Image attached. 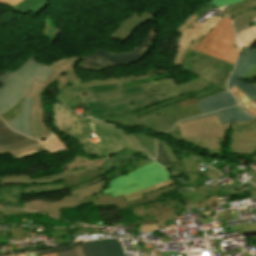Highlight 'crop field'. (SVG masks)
Here are the masks:
<instances>
[{
	"mask_svg": "<svg viewBox=\"0 0 256 256\" xmlns=\"http://www.w3.org/2000/svg\"><path fill=\"white\" fill-rule=\"evenodd\" d=\"M136 74L79 83L89 114L108 118L156 104L170 98L206 87L209 83L198 77L178 84L172 76L123 88L121 83L149 78Z\"/></svg>",
	"mask_w": 256,
	"mask_h": 256,
	"instance_id": "8a807250",
	"label": "crop field"
},
{
	"mask_svg": "<svg viewBox=\"0 0 256 256\" xmlns=\"http://www.w3.org/2000/svg\"><path fill=\"white\" fill-rule=\"evenodd\" d=\"M127 154V152H124L110 158H100L102 159L99 163L101 166L95 164L99 159L91 161L85 157H75L71 164L62 167L64 173L38 177L34 179H31L30 175L0 177V184L42 183L52 182L62 178V181L64 182L62 184L45 186L34 185L27 189L21 187L22 192L46 193L64 189L66 187H68V190H72L102 180L99 175L114 168L117 163L121 161Z\"/></svg>",
	"mask_w": 256,
	"mask_h": 256,
	"instance_id": "ac0d7876",
	"label": "crop field"
},
{
	"mask_svg": "<svg viewBox=\"0 0 256 256\" xmlns=\"http://www.w3.org/2000/svg\"><path fill=\"white\" fill-rule=\"evenodd\" d=\"M176 190L175 186L166 187L163 189H160L157 192H153L151 194L144 195L145 199L137 202H133L128 204L122 196L112 199L110 194L101 196V194L92 196L89 198L81 199V205L86 203L93 202L94 205H103V204H116L118 210H126L128 207L126 205H132L136 203L146 202V201H153L158 198V196L162 193H168L171 191ZM134 217L141 218V217H149L152 216L155 223L158 227H161L160 225H167L165 220H174L176 217V214L174 213L167 197L161 201L140 205V206H134L130 208Z\"/></svg>",
	"mask_w": 256,
	"mask_h": 256,
	"instance_id": "34b2d1b8",
	"label": "crop field"
},
{
	"mask_svg": "<svg viewBox=\"0 0 256 256\" xmlns=\"http://www.w3.org/2000/svg\"><path fill=\"white\" fill-rule=\"evenodd\" d=\"M35 58L30 57L0 88V114L13 107L21 95H28L33 80L42 83L52 73Z\"/></svg>",
	"mask_w": 256,
	"mask_h": 256,
	"instance_id": "412701ff",
	"label": "crop field"
},
{
	"mask_svg": "<svg viewBox=\"0 0 256 256\" xmlns=\"http://www.w3.org/2000/svg\"><path fill=\"white\" fill-rule=\"evenodd\" d=\"M170 179L166 171L156 162H151L135 171L108 181L103 194L110 193L112 198L137 191L139 189Z\"/></svg>",
	"mask_w": 256,
	"mask_h": 256,
	"instance_id": "f4fd0767",
	"label": "crop field"
},
{
	"mask_svg": "<svg viewBox=\"0 0 256 256\" xmlns=\"http://www.w3.org/2000/svg\"><path fill=\"white\" fill-rule=\"evenodd\" d=\"M204 47H207L206 49ZM194 51L234 64L238 51L234 43L231 18L221 20L194 48Z\"/></svg>",
	"mask_w": 256,
	"mask_h": 256,
	"instance_id": "dd49c442",
	"label": "crop field"
},
{
	"mask_svg": "<svg viewBox=\"0 0 256 256\" xmlns=\"http://www.w3.org/2000/svg\"><path fill=\"white\" fill-rule=\"evenodd\" d=\"M224 16L216 17L197 24L199 17L191 15L175 32L180 33L177 54L173 65L180 66L186 49L193 50L194 46L221 20Z\"/></svg>",
	"mask_w": 256,
	"mask_h": 256,
	"instance_id": "e52e79f7",
	"label": "crop field"
},
{
	"mask_svg": "<svg viewBox=\"0 0 256 256\" xmlns=\"http://www.w3.org/2000/svg\"><path fill=\"white\" fill-rule=\"evenodd\" d=\"M90 121L103 145L107 156L123 150L143 153L148 156L147 152L143 150L139 145H137L135 141L127 134L122 133L121 131L115 129L112 126L94 121L92 119H90Z\"/></svg>",
	"mask_w": 256,
	"mask_h": 256,
	"instance_id": "d8731c3e",
	"label": "crop field"
},
{
	"mask_svg": "<svg viewBox=\"0 0 256 256\" xmlns=\"http://www.w3.org/2000/svg\"><path fill=\"white\" fill-rule=\"evenodd\" d=\"M154 35L155 29L153 27L143 43L135 50L117 54L97 50L88 56L79 66L92 69H106L108 65L127 64L137 61L139 60L137 56L149 44Z\"/></svg>",
	"mask_w": 256,
	"mask_h": 256,
	"instance_id": "5a996713",
	"label": "crop field"
},
{
	"mask_svg": "<svg viewBox=\"0 0 256 256\" xmlns=\"http://www.w3.org/2000/svg\"><path fill=\"white\" fill-rule=\"evenodd\" d=\"M246 123L221 124L218 118L216 117V115H214V116H210L202 119L186 121L176 125H178L179 127L182 138H191V137H225L226 131L229 129L231 124H246Z\"/></svg>",
	"mask_w": 256,
	"mask_h": 256,
	"instance_id": "3316defc",
	"label": "crop field"
},
{
	"mask_svg": "<svg viewBox=\"0 0 256 256\" xmlns=\"http://www.w3.org/2000/svg\"><path fill=\"white\" fill-rule=\"evenodd\" d=\"M200 114L201 112L194 104L181 109H176L160 115L149 117L141 120V123L144 127L153 132H162L172 129L173 125L179 120Z\"/></svg>",
	"mask_w": 256,
	"mask_h": 256,
	"instance_id": "28ad6ade",
	"label": "crop field"
},
{
	"mask_svg": "<svg viewBox=\"0 0 256 256\" xmlns=\"http://www.w3.org/2000/svg\"><path fill=\"white\" fill-rule=\"evenodd\" d=\"M256 62V49H251L243 47L242 55L239 57L235 64V70L228 80V88L235 85L239 90H241L249 99H256V88L252 85L239 81V79L244 76L247 71Z\"/></svg>",
	"mask_w": 256,
	"mask_h": 256,
	"instance_id": "d1516ede",
	"label": "crop field"
},
{
	"mask_svg": "<svg viewBox=\"0 0 256 256\" xmlns=\"http://www.w3.org/2000/svg\"><path fill=\"white\" fill-rule=\"evenodd\" d=\"M55 79L56 76L51 74L42 84L33 82V85L30 89L29 96L35 97L31 114V130L35 139H43L50 135V132L45 127L43 122L41 92L44 88L54 82Z\"/></svg>",
	"mask_w": 256,
	"mask_h": 256,
	"instance_id": "22f410ed",
	"label": "crop field"
},
{
	"mask_svg": "<svg viewBox=\"0 0 256 256\" xmlns=\"http://www.w3.org/2000/svg\"><path fill=\"white\" fill-rule=\"evenodd\" d=\"M53 114L59 131L66 133L74 140L84 138L79 117L74 115L72 111L57 103L54 105Z\"/></svg>",
	"mask_w": 256,
	"mask_h": 256,
	"instance_id": "cbeb9de0",
	"label": "crop field"
},
{
	"mask_svg": "<svg viewBox=\"0 0 256 256\" xmlns=\"http://www.w3.org/2000/svg\"><path fill=\"white\" fill-rule=\"evenodd\" d=\"M39 144L22 134L13 132L0 119V155Z\"/></svg>",
	"mask_w": 256,
	"mask_h": 256,
	"instance_id": "5142ce71",
	"label": "crop field"
},
{
	"mask_svg": "<svg viewBox=\"0 0 256 256\" xmlns=\"http://www.w3.org/2000/svg\"><path fill=\"white\" fill-rule=\"evenodd\" d=\"M80 58L85 59L86 57L81 56V57H70V58H66V59H60V60L56 61L55 63L49 65L53 74H55L58 77V79H57L58 92L70 83L81 82V80L75 74V71L73 68L75 62H77Z\"/></svg>",
	"mask_w": 256,
	"mask_h": 256,
	"instance_id": "d9b57169",
	"label": "crop field"
},
{
	"mask_svg": "<svg viewBox=\"0 0 256 256\" xmlns=\"http://www.w3.org/2000/svg\"><path fill=\"white\" fill-rule=\"evenodd\" d=\"M222 90H224V89L210 84L208 87H206L204 89H201L199 91H194V92H191L189 94H186V95H183V96H180V97H176V98L170 99V100L165 101V102L158 103L156 105H153V106H150L148 108L142 109V110L138 111L137 113H138V115H142V114L151 112V111H153L157 108L172 104L174 102H176L177 105L179 106V108H181V107L186 106V105L197 103L196 100L199 99V98H202V97H205V96H208V95H211V94H215V93H217L219 91H222Z\"/></svg>",
	"mask_w": 256,
	"mask_h": 256,
	"instance_id": "733c2abd",
	"label": "crop field"
},
{
	"mask_svg": "<svg viewBox=\"0 0 256 256\" xmlns=\"http://www.w3.org/2000/svg\"><path fill=\"white\" fill-rule=\"evenodd\" d=\"M198 102L197 106L202 114L238 104L234 97L226 90L215 95L202 98L198 100Z\"/></svg>",
	"mask_w": 256,
	"mask_h": 256,
	"instance_id": "4a817a6b",
	"label": "crop field"
},
{
	"mask_svg": "<svg viewBox=\"0 0 256 256\" xmlns=\"http://www.w3.org/2000/svg\"><path fill=\"white\" fill-rule=\"evenodd\" d=\"M82 245L86 256H125L121 243L116 240Z\"/></svg>",
	"mask_w": 256,
	"mask_h": 256,
	"instance_id": "bc2a9ffb",
	"label": "crop field"
},
{
	"mask_svg": "<svg viewBox=\"0 0 256 256\" xmlns=\"http://www.w3.org/2000/svg\"><path fill=\"white\" fill-rule=\"evenodd\" d=\"M33 100L34 98L25 97L21 105L19 117L7 122V125L13 130L28 135L30 137H32L30 131V113L32 110Z\"/></svg>",
	"mask_w": 256,
	"mask_h": 256,
	"instance_id": "214f88e0",
	"label": "crop field"
},
{
	"mask_svg": "<svg viewBox=\"0 0 256 256\" xmlns=\"http://www.w3.org/2000/svg\"><path fill=\"white\" fill-rule=\"evenodd\" d=\"M176 108H178V106L175 103L173 105H169V106L160 108L154 112H151V113L139 116V117L137 116L136 113H131V114H127V115H123V116H119V117L108 118L105 120H103L102 118H98V117H94V116H90V115L89 116L93 117L95 119L101 120L103 122H106V121L117 122L125 127H138V126H141L139 120L147 118V117L155 115V114H160V113L168 111V110L176 109Z\"/></svg>",
	"mask_w": 256,
	"mask_h": 256,
	"instance_id": "92a150f3",
	"label": "crop field"
},
{
	"mask_svg": "<svg viewBox=\"0 0 256 256\" xmlns=\"http://www.w3.org/2000/svg\"><path fill=\"white\" fill-rule=\"evenodd\" d=\"M151 18L152 15L147 12H143L141 15L133 14L110 38L126 41L136 27L146 23Z\"/></svg>",
	"mask_w": 256,
	"mask_h": 256,
	"instance_id": "dafd665d",
	"label": "crop field"
},
{
	"mask_svg": "<svg viewBox=\"0 0 256 256\" xmlns=\"http://www.w3.org/2000/svg\"><path fill=\"white\" fill-rule=\"evenodd\" d=\"M80 121H81L85 139L76 140V141H78L81 148L84 150L86 154L91 156H96V157L106 156L102 148L100 147L99 143L98 142L94 143L93 141H91V139H89V136H91L89 131H93V130L90 126L88 118L80 117Z\"/></svg>",
	"mask_w": 256,
	"mask_h": 256,
	"instance_id": "00972430",
	"label": "crop field"
},
{
	"mask_svg": "<svg viewBox=\"0 0 256 256\" xmlns=\"http://www.w3.org/2000/svg\"><path fill=\"white\" fill-rule=\"evenodd\" d=\"M214 114L217 115V117L219 118L221 123L245 122V121L254 119V118L250 117L249 115H247L246 113H244L243 110L240 108V106L227 108V109H224L221 111L198 116V117L191 118V119L202 118V117H206V116H210V115H214ZM191 119H187V120H191ZM183 121H186V120H183Z\"/></svg>",
	"mask_w": 256,
	"mask_h": 256,
	"instance_id": "a9b5d70f",
	"label": "crop field"
},
{
	"mask_svg": "<svg viewBox=\"0 0 256 256\" xmlns=\"http://www.w3.org/2000/svg\"><path fill=\"white\" fill-rule=\"evenodd\" d=\"M219 60L208 55L200 53L190 71L196 73L197 76L207 80L213 69L218 65Z\"/></svg>",
	"mask_w": 256,
	"mask_h": 256,
	"instance_id": "4177f3b9",
	"label": "crop field"
},
{
	"mask_svg": "<svg viewBox=\"0 0 256 256\" xmlns=\"http://www.w3.org/2000/svg\"><path fill=\"white\" fill-rule=\"evenodd\" d=\"M5 199L7 204L16 208H23L20 184L0 185V200Z\"/></svg>",
	"mask_w": 256,
	"mask_h": 256,
	"instance_id": "730fd06b",
	"label": "crop field"
},
{
	"mask_svg": "<svg viewBox=\"0 0 256 256\" xmlns=\"http://www.w3.org/2000/svg\"><path fill=\"white\" fill-rule=\"evenodd\" d=\"M56 101H62L70 109L73 106L77 108L83 103L77 84H70L60 91L56 96Z\"/></svg>",
	"mask_w": 256,
	"mask_h": 256,
	"instance_id": "eef30255",
	"label": "crop field"
},
{
	"mask_svg": "<svg viewBox=\"0 0 256 256\" xmlns=\"http://www.w3.org/2000/svg\"><path fill=\"white\" fill-rule=\"evenodd\" d=\"M79 202L78 196L73 195L65 196L60 201L49 202L48 214L60 219V209L78 207L80 206Z\"/></svg>",
	"mask_w": 256,
	"mask_h": 256,
	"instance_id": "ae1a2a85",
	"label": "crop field"
},
{
	"mask_svg": "<svg viewBox=\"0 0 256 256\" xmlns=\"http://www.w3.org/2000/svg\"><path fill=\"white\" fill-rule=\"evenodd\" d=\"M39 256H85L82 245L37 251Z\"/></svg>",
	"mask_w": 256,
	"mask_h": 256,
	"instance_id": "d3111659",
	"label": "crop field"
},
{
	"mask_svg": "<svg viewBox=\"0 0 256 256\" xmlns=\"http://www.w3.org/2000/svg\"><path fill=\"white\" fill-rule=\"evenodd\" d=\"M174 139L178 141H183L187 144L205 147V149L213 151L215 153L220 152L219 145L224 140V138H192V139L174 138Z\"/></svg>",
	"mask_w": 256,
	"mask_h": 256,
	"instance_id": "750c4746",
	"label": "crop field"
},
{
	"mask_svg": "<svg viewBox=\"0 0 256 256\" xmlns=\"http://www.w3.org/2000/svg\"><path fill=\"white\" fill-rule=\"evenodd\" d=\"M232 69V65L220 61L219 65L216 66L208 80L222 87L228 76L231 74Z\"/></svg>",
	"mask_w": 256,
	"mask_h": 256,
	"instance_id": "bd1437ed",
	"label": "crop field"
},
{
	"mask_svg": "<svg viewBox=\"0 0 256 256\" xmlns=\"http://www.w3.org/2000/svg\"><path fill=\"white\" fill-rule=\"evenodd\" d=\"M256 41V27L253 23L236 36V44L241 54L242 46L250 47Z\"/></svg>",
	"mask_w": 256,
	"mask_h": 256,
	"instance_id": "1d83c4d3",
	"label": "crop field"
},
{
	"mask_svg": "<svg viewBox=\"0 0 256 256\" xmlns=\"http://www.w3.org/2000/svg\"><path fill=\"white\" fill-rule=\"evenodd\" d=\"M40 142L44 146L45 150L48 151L49 155L59 151H70L65 142L54 133H52V136L48 139Z\"/></svg>",
	"mask_w": 256,
	"mask_h": 256,
	"instance_id": "120bbe31",
	"label": "crop field"
},
{
	"mask_svg": "<svg viewBox=\"0 0 256 256\" xmlns=\"http://www.w3.org/2000/svg\"><path fill=\"white\" fill-rule=\"evenodd\" d=\"M77 233H78L77 235L85 234V233H88V235H91V234L101 233V231H100V228H92V229H80V230H77ZM51 236L55 245L72 242V239L76 238L75 235H71L72 238H67V234H65V232L51 233Z\"/></svg>",
	"mask_w": 256,
	"mask_h": 256,
	"instance_id": "d32e631a",
	"label": "crop field"
},
{
	"mask_svg": "<svg viewBox=\"0 0 256 256\" xmlns=\"http://www.w3.org/2000/svg\"><path fill=\"white\" fill-rule=\"evenodd\" d=\"M104 184H105V182H104V180H102V181L93 183L91 185L72 190L69 193L73 194V195H79L80 199L89 197V196H92L95 194H99V191L104 186Z\"/></svg>",
	"mask_w": 256,
	"mask_h": 256,
	"instance_id": "5866460e",
	"label": "crop field"
},
{
	"mask_svg": "<svg viewBox=\"0 0 256 256\" xmlns=\"http://www.w3.org/2000/svg\"><path fill=\"white\" fill-rule=\"evenodd\" d=\"M169 185H172L169 180L164 181V182H162L158 185H154V186L142 189L140 191H137V192H134V193H131V194L123 195V197L125 198V200L128 203L133 202V201H137V200H140V199L144 198L143 194L150 193V192H153V191H157L160 188H163V187H166V186H169Z\"/></svg>",
	"mask_w": 256,
	"mask_h": 256,
	"instance_id": "028f5c9d",
	"label": "crop field"
},
{
	"mask_svg": "<svg viewBox=\"0 0 256 256\" xmlns=\"http://www.w3.org/2000/svg\"><path fill=\"white\" fill-rule=\"evenodd\" d=\"M256 7V0H243L241 2H238L232 7L225 9V15H230L234 18V16L238 13L245 12L247 10H250L252 8Z\"/></svg>",
	"mask_w": 256,
	"mask_h": 256,
	"instance_id": "e1f06a70",
	"label": "crop field"
},
{
	"mask_svg": "<svg viewBox=\"0 0 256 256\" xmlns=\"http://www.w3.org/2000/svg\"><path fill=\"white\" fill-rule=\"evenodd\" d=\"M130 135L133 136L138 143L149 152L153 159L155 158V142L153 138L149 137V135L145 133H134Z\"/></svg>",
	"mask_w": 256,
	"mask_h": 256,
	"instance_id": "0bd39190",
	"label": "crop field"
},
{
	"mask_svg": "<svg viewBox=\"0 0 256 256\" xmlns=\"http://www.w3.org/2000/svg\"><path fill=\"white\" fill-rule=\"evenodd\" d=\"M232 92L239 102L241 103L242 107L250 113L252 116L256 117V103L250 101L241 91H239L235 86L230 91Z\"/></svg>",
	"mask_w": 256,
	"mask_h": 256,
	"instance_id": "b80d0937",
	"label": "crop field"
},
{
	"mask_svg": "<svg viewBox=\"0 0 256 256\" xmlns=\"http://www.w3.org/2000/svg\"><path fill=\"white\" fill-rule=\"evenodd\" d=\"M181 161H183V162L185 163V165H186V167H187V172H189V173H194V172H193L194 168H195L196 166L200 165V164H198V163L196 162V161H198V160H196V159H194V158H192V157H190V156H188V157L182 159ZM198 175H201V176H210V177H212V178L217 179L220 174H219L218 172H216V171L211 170V169H206L204 174H198Z\"/></svg>",
	"mask_w": 256,
	"mask_h": 256,
	"instance_id": "c035e120",
	"label": "crop field"
},
{
	"mask_svg": "<svg viewBox=\"0 0 256 256\" xmlns=\"http://www.w3.org/2000/svg\"><path fill=\"white\" fill-rule=\"evenodd\" d=\"M255 9H252L248 12L236 15L234 18V30L235 33H238L239 31L243 30V28H245L247 25H249L251 23L250 19L247 17L246 14L251 13V12H255Z\"/></svg>",
	"mask_w": 256,
	"mask_h": 256,
	"instance_id": "c21b1889",
	"label": "crop field"
},
{
	"mask_svg": "<svg viewBox=\"0 0 256 256\" xmlns=\"http://www.w3.org/2000/svg\"><path fill=\"white\" fill-rule=\"evenodd\" d=\"M229 148L232 151V153L253 154L254 152H256V143L238 144L231 142Z\"/></svg>",
	"mask_w": 256,
	"mask_h": 256,
	"instance_id": "03da06ac",
	"label": "crop field"
},
{
	"mask_svg": "<svg viewBox=\"0 0 256 256\" xmlns=\"http://www.w3.org/2000/svg\"><path fill=\"white\" fill-rule=\"evenodd\" d=\"M132 224L134 227L140 226L142 233L153 232L155 230H158L152 217L144 218V220L139 222H132Z\"/></svg>",
	"mask_w": 256,
	"mask_h": 256,
	"instance_id": "b54c1fbb",
	"label": "crop field"
},
{
	"mask_svg": "<svg viewBox=\"0 0 256 256\" xmlns=\"http://www.w3.org/2000/svg\"><path fill=\"white\" fill-rule=\"evenodd\" d=\"M48 202L45 201H27L24 202V209L44 212L47 214Z\"/></svg>",
	"mask_w": 256,
	"mask_h": 256,
	"instance_id": "5d738f31",
	"label": "crop field"
},
{
	"mask_svg": "<svg viewBox=\"0 0 256 256\" xmlns=\"http://www.w3.org/2000/svg\"><path fill=\"white\" fill-rule=\"evenodd\" d=\"M45 2H46V0H23L15 7L32 12V11L36 10L37 8H39Z\"/></svg>",
	"mask_w": 256,
	"mask_h": 256,
	"instance_id": "d23c7cc5",
	"label": "crop field"
},
{
	"mask_svg": "<svg viewBox=\"0 0 256 256\" xmlns=\"http://www.w3.org/2000/svg\"><path fill=\"white\" fill-rule=\"evenodd\" d=\"M256 132V121L246 124V125H235L233 129V134H248Z\"/></svg>",
	"mask_w": 256,
	"mask_h": 256,
	"instance_id": "425ffa30",
	"label": "crop field"
},
{
	"mask_svg": "<svg viewBox=\"0 0 256 256\" xmlns=\"http://www.w3.org/2000/svg\"><path fill=\"white\" fill-rule=\"evenodd\" d=\"M23 99H24V97L21 96V98L19 99V101L17 102V104H16L13 108H11V109H9L7 112H5L3 115H1L0 117H1L5 122H6V121H9V120H11V119H13V118H15V117H17L18 114H19L20 105H21Z\"/></svg>",
	"mask_w": 256,
	"mask_h": 256,
	"instance_id": "25e5ab78",
	"label": "crop field"
},
{
	"mask_svg": "<svg viewBox=\"0 0 256 256\" xmlns=\"http://www.w3.org/2000/svg\"><path fill=\"white\" fill-rule=\"evenodd\" d=\"M232 142H239V143H253L256 142V133L249 134V135H233L231 134Z\"/></svg>",
	"mask_w": 256,
	"mask_h": 256,
	"instance_id": "73cf0c24",
	"label": "crop field"
},
{
	"mask_svg": "<svg viewBox=\"0 0 256 256\" xmlns=\"http://www.w3.org/2000/svg\"><path fill=\"white\" fill-rule=\"evenodd\" d=\"M198 55L199 53L193 51H189V53L186 52L181 68L189 70Z\"/></svg>",
	"mask_w": 256,
	"mask_h": 256,
	"instance_id": "89e229c0",
	"label": "crop field"
},
{
	"mask_svg": "<svg viewBox=\"0 0 256 256\" xmlns=\"http://www.w3.org/2000/svg\"><path fill=\"white\" fill-rule=\"evenodd\" d=\"M157 162H159L161 165L165 166L170 163L163 147L160 145L159 142H157Z\"/></svg>",
	"mask_w": 256,
	"mask_h": 256,
	"instance_id": "1f2cbd36",
	"label": "crop field"
},
{
	"mask_svg": "<svg viewBox=\"0 0 256 256\" xmlns=\"http://www.w3.org/2000/svg\"><path fill=\"white\" fill-rule=\"evenodd\" d=\"M0 218L4 215L33 214V212L17 210V209H0Z\"/></svg>",
	"mask_w": 256,
	"mask_h": 256,
	"instance_id": "dbb93151",
	"label": "crop field"
},
{
	"mask_svg": "<svg viewBox=\"0 0 256 256\" xmlns=\"http://www.w3.org/2000/svg\"><path fill=\"white\" fill-rule=\"evenodd\" d=\"M236 228H237L238 234L248 233V232H256V223L255 224L244 225V226H238Z\"/></svg>",
	"mask_w": 256,
	"mask_h": 256,
	"instance_id": "0fb4a251",
	"label": "crop field"
},
{
	"mask_svg": "<svg viewBox=\"0 0 256 256\" xmlns=\"http://www.w3.org/2000/svg\"><path fill=\"white\" fill-rule=\"evenodd\" d=\"M12 236L16 237L17 241L23 240L22 228L17 226H9Z\"/></svg>",
	"mask_w": 256,
	"mask_h": 256,
	"instance_id": "1d79db26",
	"label": "crop field"
},
{
	"mask_svg": "<svg viewBox=\"0 0 256 256\" xmlns=\"http://www.w3.org/2000/svg\"><path fill=\"white\" fill-rule=\"evenodd\" d=\"M213 8H216L214 7L210 2L207 3L205 6H203L202 8L196 10L194 12L195 15L201 17L202 15H204L205 12L209 11V10H213Z\"/></svg>",
	"mask_w": 256,
	"mask_h": 256,
	"instance_id": "9d1cf04e",
	"label": "crop field"
},
{
	"mask_svg": "<svg viewBox=\"0 0 256 256\" xmlns=\"http://www.w3.org/2000/svg\"><path fill=\"white\" fill-rule=\"evenodd\" d=\"M161 144L163 145V147H164L167 155L169 156L171 162L173 163V162L177 161V158H176L175 154L173 153V151L170 149V147L164 142H161Z\"/></svg>",
	"mask_w": 256,
	"mask_h": 256,
	"instance_id": "447ae74e",
	"label": "crop field"
},
{
	"mask_svg": "<svg viewBox=\"0 0 256 256\" xmlns=\"http://www.w3.org/2000/svg\"><path fill=\"white\" fill-rule=\"evenodd\" d=\"M240 0H213V1H210L213 5L219 7V6H222V5H226V4H233V3H236Z\"/></svg>",
	"mask_w": 256,
	"mask_h": 256,
	"instance_id": "0765c3eb",
	"label": "crop field"
},
{
	"mask_svg": "<svg viewBox=\"0 0 256 256\" xmlns=\"http://www.w3.org/2000/svg\"><path fill=\"white\" fill-rule=\"evenodd\" d=\"M165 168L186 171V168H185L183 162H181V161H178V162H175L173 164L167 165V166H165Z\"/></svg>",
	"mask_w": 256,
	"mask_h": 256,
	"instance_id": "db79e9e6",
	"label": "crop field"
},
{
	"mask_svg": "<svg viewBox=\"0 0 256 256\" xmlns=\"http://www.w3.org/2000/svg\"><path fill=\"white\" fill-rule=\"evenodd\" d=\"M250 77H256V63L255 65L248 71V73L242 77V78H250Z\"/></svg>",
	"mask_w": 256,
	"mask_h": 256,
	"instance_id": "7b73153f",
	"label": "crop field"
},
{
	"mask_svg": "<svg viewBox=\"0 0 256 256\" xmlns=\"http://www.w3.org/2000/svg\"><path fill=\"white\" fill-rule=\"evenodd\" d=\"M21 0H0V4H6V5H11L15 6L18 4Z\"/></svg>",
	"mask_w": 256,
	"mask_h": 256,
	"instance_id": "78b8030e",
	"label": "crop field"
},
{
	"mask_svg": "<svg viewBox=\"0 0 256 256\" xmlns=\"http://www.w3.org/2000/svg\"><path fill=\"white\" fill-rule=\"evenodd\" d=\"M221 240H225V239L214 240V242L216 243V245H217V247H218V249H219L221 255H226V254H229V253H231V252L234 251V250H232V251L222 252V250H221V248H220L221 245H220L219 242H218V241H221ZM234 252H235V251H234ZM237 254H238V253H237Z\"/></svg>",
	"mask_w": 256,
	"mask_h": 256,
	"instance_id": "0f1d7ab4",
	"label": "crop field"
},
{
	"mask_svg": "<svg viewBox=\"0 0 256 256\" xmlns=\"http://www.w3.org/2000/svg\"><path fill=\"white\" fill-rule=\"evenodd\" d=\"M12 72H10V71H8V72H6L5 74H3L2 76H0V83H4L7 79H8V77H9V75L11 74Z\"/></svg>",
	"mask_w": 256,
	"mask_h": 256,
	"instance_id": "e1d0b9f6",
	"label": "crop field"
},
{
	"mask_svg": "<svg viewBox=\"0 0 256 256\" xmlns=\"http://www.w3.org/2000/svg\"><path fill=\"white\" fill-rule=\"evenodd\" d=\"M154 41V38L152 39V41L150 42V44L145 48V50L138 56L139 58H142L143 56H145L147 54V52L149 51L152 42Z\"/></svg>",
	"mask_w": 256,
	"mask_h": 256,
	"instance_id": "ae633e8c",
	"label": "crop field"
},
{
	"mask_svg": "<svg viewBox=\"0 0 256 256\" xmlns=\"http://www.w3.org/2000/svg\"><path fill=\"white\" fill-rule=\"evenodd\" d=\"M41 146H42V145L39 144V145H37V146H35V147H31V148L24 149V150H21V151H19V152H16V153H14V154H12V155H13V156H16V155L21 154V153H23V152H25V151H28V150H31V149H35V148H38V147H41Z\"/></svg>",
	"mask_w": 256,
	"mask_h": 256,
	"instance_id": "d14b1444",
	"label": "crop field"
},
{
	"mask_svg": "<svg viewBox=\"0 0 256 256\" xmlns=\"http://www.w3.org/2000/svg\"><path fill=\"white\" fill-rule=\"evenodd\" d=\"M49 5V2H46L44 5H42L39 9L35 11V13H41L47 6Z\"/></svg>",
	"mask_w": 256,
	"mask_h": 256,
	"instance_id": "c39391a2",
	"label": "crop field"
},
{
	"mask_svg": "<svg viewBox=\"0 0 256 256\" xmlns=\"http://www.w3.org/2000/svg\"><path fill=\"white\" fill-rule=\"evenodd\" d=\"M17 256H35L33 252L16 254Z\"/></svg>",
	"mask_w": 256,
	"mask_h": 256,
	"instance_id": "ade564c9",
	"label": "crop field"
},
{
	"mask_svg": "<svg viewBox=\"0 0 256 256\" xmlns=\"http://www.w3.org/2000/svg\"><path fill=\"white\" fill-rule=\"evenodd\" d=\"M249 18H253V17H256V12L255 13H252V14H248Z\"/></svg>",
	"mask_w": 256,
	"mask_h": 256,
	"instance_id": "c5b07064",
	"label": "crop field"
},
{
	"mask_svg": "<svg viewBox=\"0 0 256 256\" xmlns=\"http://www.w3.org/2000/svg\"><path fill=\"white\" fill-rule=\"evenodd\" d=\"M251 256L249 253H248V251H246V252H244V253H242L240 256Z\"/></svg>",
	"mask_w": 256,
	"mask_h": 256,
	"instance_id": "c3a83c6f",
	"label": "crop field"
},
{
	"mask_svg": "<svg viewBox=\"0 0 256 256\" xmlns=\"http://www.w3.org/2000/svg\"><path fill=\"white\" fill-rule=\"evenodd\" d=\"M8 256H16L15 254H13V255H8Z\"/></svg>",
	"mask_w": 256,
	"mask_h": 256,
	"instance_id": "fb207236",
	"label": "crop field"
},
{
	"mask_svg": "<svg viewBox=\"0 0 256 256\" xmlns=\"http://www.w3.org/2000/svg\"><path fill=\"white\" fill-rule=\"evenodd\" d=\"M253 86H255L256 87V84L255 85H253ZM255 102H256V100H254Z\"/></svg>",
	"mask_w": 256,
	"mask_h": 256,
	"instance_id": "7312dd0a",
	"label": "crop field"
},
{
	"mask_svg": "<svg viewBox=\"0 0 256 256\" xmlns=\"http://www.w3.org/2000/svg\"><path fill=\"white\" fill-rule=\"evenodd\" d=\"M254 25L256 26V22H254Z\"/></svg>",
	"mask_w": 256,
	"mask_h": 256,
	"instance_id": "180be81f",
	"label": "crop field"
}]
</instances>
